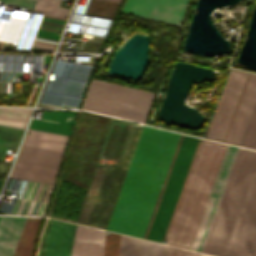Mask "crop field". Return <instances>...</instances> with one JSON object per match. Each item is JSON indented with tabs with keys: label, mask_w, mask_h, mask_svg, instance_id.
I'll return each mask as SVG.
<instances>
[{
	"label": "crop field",
	"mask_w": 256,
	"mask_h": 256,
	"mask_svg": "<svg viewBox=\"0 0 256 256\" xmlns=\"http://www.w3.org/2000/svg\"><path fill=\"white\" fill-rule=\"evenodd\" d=\"M179 136L143 127L106 230L143 237Z\"/></svg>",
	"instance_id": "1"
},
{
	"label": "crop field",
	"mask_w": 256,
	"mask_h": 256,
	"mask_svg": "<svg viewBox=\"0 0 256 256\" xmlns=\"http://www.w3.org/2000/svg\"><path fill=\"white\" fill-rule=\"evenodd\" d=\"M201 252L256 256L255 151L239 149Z\"/></svg>",
	"instance_id": "2"
},
{
	"label": "crop field",
	"mask_w": 256,
	"mask_h": 256,
	"mask_svg": "<svg viewBox=\"0 0 256 256\" xmlns=\"http://www.w3.org/2000/svg\"><path fill=\"white\" fill-rule=\"evenodd\" d=\"M142 127L113 120L76 223L106 229Z\"/></svg>",
	"instance_id": "3"
},
{
	"label": "crop field",
	"mask_w": 256,
	"mask_h": 256,
	"mask_svg": "<svg viewBox=\"0 0 256 256\" xmlns=\"http://www.w3.org/2000/svg\"><path fill=\"white\" fill-rule=\"evenodd\" d=\"M227 149L202 140L165 244L192 249Z\"/></svg>",
	"instance_id": "4"
},
{
	"label": "crop field",
	"mask_w": 256,
	"mask_h": 256,
	"mask_svg": "<svg viewBox=\"0 0 256 256\" xmlns=\"http://www.w3.org/2000/svg\"><path fill=\"white\" fill-rule=\"evenodd\" d=\"M255 100L256 74L231 69L205 138L239 146ZM240 146L256 150V103Z\"/></svg>",
	"instance_id": "5"
},
{
	"label": "crop field",
	"mask_w": 256,
	"mask_h": 256,
	"mask_svg": "<svg viewBox=\"0 0 256 256\" xmlns=\"http://www.w3.org/2000/svg\"><path fill=\"white\" fill-rule=\"evenodd\" d=\"M154 95L92 79L81 109L144 124Z\"/></svg>",
	"instance_id": "6"
},
{
	"label": "crop field",
	"mask_w": 256,
	"mask_h": 256,
	"mask_svg": "<svg viewBox=\"0 0 256 256\" xmlns=\"http://www.w3.org/2000/svg\"><path fill=\"white\" fill-rule=\"evenodd\" d=\"M199 140L183 136L146 239L162 242Z\"/></svg>",
	"instance_id": "7"
},
{
	"label": "crop field",
	"mask_w": 256,
	"mask_h": 256,
	"mask_svg": "<svg viewBox=\"0 0 256 256\" xmlns=\"http://www.w3.org/2000/svg\"><path fill=\"white\" fill-rule=\"evenodd\" d=\"M62 154L23 145L9 177L53 184Z\"/></svg>",
	"instance_id": "8"
},
{
	"label": "crop field",
	"mask_w": 256,
	"mask_h": 256,
	"mask_svg": "<svg viewBox=\"0 0 256 256\" xmlns=\"http://www.w3.org/2000/svg\"><path fill=\"white\" fill-rule=\"evenodd\" d=\"M188 0H126L123 13L180 25Z\"/></svg>",
	"instance_id": "9"
},
{
	"label": "crop field",
	"mask_w": 256,
	"mask_h": 256,
	"mask_svg": "<svg viewBox=\"0 0 256 256\" xmlns=\"http://www.w3.org/2000/svg\"><path fill=\"white\" fill-rule=\"evenodd\" d=\"M75 226L48 218L38 256H70Z\"/></svg>",
	"instance_id": "10"
},
{
	"label": "crop field",
	"mask_w": 256,
	"mask_h": 256,
	"mask_svg": "<svg viewBox=\"0 0 256 256\" xmlns=\"http://www.w3.org/2000/svg\"><path fill=\"white\" fill-rule=\"evenodd\" d=\"M105 232L77 226L71 256H102Z\"/></svg>",
	"instance_id": "11"
},
{
	"label": "crop field",
	"mask_w": 256,
	"mask_h": 256,
	"mask_svg": "<svg viewBox=\"0 0 256 256\" xmlns=\"http://www.w3.org/2000/svg\"><path fill=\"white\" fill-rule=\"evenodd\" d=\"M27 218L0 217V256H12Z\"/></svg>",
	"instance_id": "12"
},
{
	"label": "crop field",
	"mask_w": 256,
	"mask_h": 256,
	"mask_svg": "<svg viewBox=\"0 0 256 256\" xmlns=\"http://www.w3.org/2000/svg\"><path fill=\"white\" fill-rule=\"evenodd\" d=\"M231 147H232V146L230 145L229 150H228L227 155H226V158H225V161H224V163H223V166H222V169H221L220 175H219V177H218V180H217L216 186H215V188H214V191H213L212 197L214 196V193H215V191H216V188H217L218 182H219V180H220V177H221L222 171H223V169H224L225 163H226V161H227V158H228L229 152H230V150H231ZM234 148H235V147L233 146V147H232V150H231V152H230V155H229L228 161H227V163H226V166H225L224 172H223V174H222L221 180H220V182H219V185H218V188H217V191H216V193H215V196H214V197H217V196H218V193H219V190H220V188H221V185H222V182H223V179H224L225 173H226V171H227V168H228V165H229V162H230L231 156H232V154H233ZM238 149H239V148H237V147L235 148V151H234V154H233V156H232V159H231V162H230V165H229L228 171H227V173H226V176H225V179H224V182H223L222 188H221L220 193H219V196H218L219 198L221 197V194H222V192H223L224 186H225V184H226L227 178H228V176H229V173H230V170H231V168H232V165H233V162H234V160H235V157H236V154H237ZM212 197H211V199H210V202H209L208 208H207V210H206V213H205L204 219H203V221H202V224H201V227H200L199 233H198V235H197V238H196V241H195V244H194V246H193V249H192V250H194V249H195V246H196V244H197V241H198V238H199L200 232H201V230H202V227H203V224H204L205 218H206V216H207V213H208V210H209L210 204H211L212 199H213ZM219 198H218V199H217V198H214V199H213V202H212V204H211V207H210V210H209L208 216H207V218H206V221H205V224H204L203 230H202V232H201V235H200V238H199L198 244H197L196 249H195L196 251L198 250V247H199V245H200L201 239H202L203 234H204V231H205V229H206V226H207L208 220H209V218H210L211 212H212V210H213L214 204H215L216 199H217V202H216V204H215L214 210H213L212 215H211V218H210V220H209V223H208L207 229H206V231H205L204 237H203V239H202L201 245H200L199 250H198L199 252L201 251V248H202V246H203L204 240H205L206 235H207V232H208V230H209V227H210L211 221H212V219H213L214 213H215L216 208H217V205H218V203H219V200H220Z\"/></svg>",
	"instance_id": "13"
},
{
	"label": "crop field",
	"mask_w": 256,
	"mask_h": 256,
	"mask_svg": "<svg viewBox=\"0 0 256 256\" xmlns=\"http://www.w3.org/2000/svg\"><path fill=\"white\" fill-rule=\"evenodd\" d=\"M76 112L64 111H45L43 118L56 121L59 123H51L33 119L29 128L43 131L55 132L60 134L71 135L70 128L74 124V116Z\"/></svg>",
	"instance_id": "14"
},
{
	"label": "crop field",
	"mask_w": 256,
	"mask_h": 256,
	"mask_svg": "<svg viewBox=\"0 0 256 256\" xmlns=\"http://www.w3.org/2000/svg\"><path fill=\"white\" fill-rule=\"evenodd\" d=\"M39 25L62 29L64 22L42 17ZM61 31L59 29L39 26L30 50H54L60 36L56 35V32L60 33Z\"/></svg>",
	"instance_id": "15"
},
{
	"label": "crop field",
	"mask_w": 256,
	"mask_h": 256,
	"mask_svg": "<svg viewBox=\"0 0 256 256\" xmlns=\"http://www.w3.org/2000/svg\"><path fill=\"white\" fill-rule=\"evenodd\" d=\"M165 246L121 235L119 256H164Z\"/></svg>",
	"instance_id": "16"
},
{
	"label": "crop field",
	"mask_w": 256,
	"mask_h": 256,
	"mask_svg": "<svg viewBox=\"0 0 256 256\" xmlns=\"http://www.w3.org/2000/svg\"><path fill=\"white\" fill-rule=\"evenodd\" d=\"M25 141L23 144L46 148L56 151H64V147L68 136L57 135L42 131L28 130Z\"/></svg>",
	"instance_id": "17"
},
{
	"label": "crop field",
	"mask_w": 256,
	"mask_h": 256,
	"mask_svg": "<svg viewBox=\"0 0 256 256\" xmlns=\"http://www.w3.org/2000/svg\"><path fill=\"white\" fill-rule=\"evenodd\" d=\"M40 218H28L13 256H31L34 233Z\"/></svg>",
	"instance_id": "18"
},
{
	"label": "crop field",
	"mask_w": 256,
	"mask_h": 256,
	"mask_svg": "<svg viewBox=\"0 0 256 256\" xmlns=\"http://www.w3.org/2000/svg\"><path fill=\"white\" fill-rule=\"evenodd\" d=\"M119 239V234L106 235L103 256H118Z\"/></svg>",
	"instance_id": "19"
},
{
	"label": "crop field",
	"mask_w": 256,
	"mask_h": 256,
	"mask_svg": "<svg viewBox=\"0 0 256 256\" xmlns=\"http://www.w3.org/2000/svg\"><path fill=\"white\" fill-rule=\"evenodd\" d=\"M165 256H200V254L166 246Z\"/></svg>",
	"instance_id": "20"
},
{
	"label": "crop field",
	"mask_w": 256,
	"mask_h": 256,
	"mask_svg": "<svg viewBox=\"0 0 256 256\" xmlns=\"http://www.w3.org/2000/svg\"><path fill=\"white\" fill-rule=\"evenodd\" d=\"M112 1H118V2H120L121 0H112Z\"/></svg>",
	"instance_id": "21"
},
{
	"label": "crop field",
	"mask_w": 256,
	"mask_h": 256,
	"mask_svg": "<svg viewBox=\"0 0 256 256\" xmlns=\"http://www.w3.org/2000/svg\"><path fill=\"white\" fill-rule=\"evenodd\" d=\"M201 256H207V255H203V254H201Z\"/></svg>",
	"instance_id": "22"
}]
</instances>
